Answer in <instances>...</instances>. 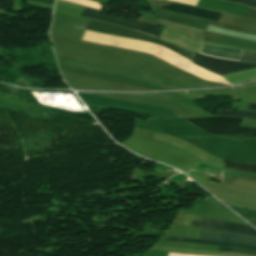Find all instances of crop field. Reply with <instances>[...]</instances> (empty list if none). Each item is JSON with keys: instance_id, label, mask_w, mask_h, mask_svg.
<instances>
[{"instance_id": "crop-field-14", "label": "crop field", "mask_w": 256, "mask_h": 256, "mask_svg": "<svg viewBox=\"0 0 256 256\" xmlns=\"http://www.w3.org/2000/svg\"><path fill=\"white\" fill-rule=\"evenodd\" d=\"M248 11H252V12H255V13H256V10H254V9L248 8ZM248 11H245V13L243 14V16H244V17H247V18H251V19L256 20V14H255V13H252V12H248Z\"/></svg>"}, {"instance_id": "crop-field-5", "label": "crop field", "mask_w": 256, "mask_h": 256, "mask_svg": "<svg viewBox=\"0 0 256 256\" xmlns=\"http://www.w3.org/2000/svg\"><path fill=\"white\" fill-rule=\"evenodd\" d=\"M189 225L212 228L222 231L256 236V230L251 226L222 222L193 216Z\"/></svg>"}, {"instance_id": "crop-field-7", "label": "crop field", "mask_w": 256, "mask_h": 256, "mask_svg": "<svg viewBox=\"0 0 256 256\" xmlns=\"http://www.w3.org/2000/svg\"><path fill=\"white\" fill-rule=\"evenodd\" d=\"M204 240H216L222 242L240 243L256 246V238L250 236H244L239 234L213 231V230H201L200 238Z\"/></svg>"}, {"instance_id": "crop-field-4", "label": "crop field", "mask_w": 256, "mask_h": 256, "mask_svg": "<svg viewBox=\"0 0 256 256\" xmlns=\"http://www.w3.org/2000/svg\"><path fill=\"white\" fill-rule=\"evenodd\" d=\"M81 16L86 17V18L95 19V20L104 21V22H109V23H113V24H117V25H121V26H125L130 29H135V30H138V31H141V32H144V33L156 36V37H159V35L162 31L156 25L136 22L137 20L136 21L119 20L117 18L105 16L99 10H95V9H91V8H87V7H85Z\"/></svg>"}, {"instance_id": "crop-field-10", "label": "crop field", "mask_w": 256, "mask_h": 256, "mask_svg": "<svg viewBox=\"0 0 256 256\" xmlns=\"http://www.w3.org/2000/svg\"><path fill=\"white\" fill-rule=\"evenodd\" d=\"M224 167L232 170H243V171L256 173V165H247V164H241V163L225 160Z\"/></svg>"}, {"instance_id": "crop-field-8", "label": "crop field", "mask_w": 256, "mask_h": 256, "mask_svg": "<svg viewBox=\"0 0 256 256\" xmlns=\"http://www.w3.org/2000/svg\"><path fill=\"white\" fill-rule=\"evenodd\" d=\"M160 8L167 9V10H173V11L185 13V14L192 15V16L207 18V19H211V20H215V21H218V19L222 15L221 13L204 10V9H199V8L183 6V5H178V4H174V3H170V4L160 7Z\"/></svg>"}, {"instance_id": "crop-field-9", "label": "crop field", "mask_w": 256, "mask_h": 256, "mask_svg": "<svg viewBox=\"0 0 256 256\" xmlns=\"http://www.w3.org/2000/svg\"><path fill=\"white\" fill-rule=\"evenodd\" d=\"M161 239H164V240H174V241H184V242H193V243H202V244L221 245V246H233V247L247 248V249L256 250V247L247 246V245H240V244H230V243L200 241V240H191V239L167 237V236H163Z\"/></svg>"}, {"instance_id": "crop-field-6", "label": "crop field", "mask_w": 256, "mask_h": 256, "mask_svg": "<svg viewBox=\"0 0 256 256\" xmlns=\"http://www.w3.org/2000/svg\"><path fill=\"white\" fill-rule=\"evenodd\" d=\"M241 51L242 50L226 48L222 46H213L203 43L200 52L218 57L239 60ZM240 61L256 63V53L243 50Z\"/></svg>"}, {"instance_id": "crop-field-2", "label": "crop field", "mask_w": 256, "mask_h": 256, "mask_svg": "<svg viewBox=\"0 0 256 256\" xmlns=\"http://www.w3.org/2000/svg\"><path fill=\"white\" fill-rule=\"evenodd\" d=\"M86 29L156 43V44H159L165 48H168V49L178 53L179 55H181L189 60H192L193 52H189V51H187L183 48H180L176 45H173L168 42H165V41H162V40H159V39L147 36V35H143V34L128 30V29H124V28H120V27H116V26H112V25H107V24H103V23H98V22H94L91 20H89Z\"/></svg>"}, {"instance_id": "crop-field-13", "label": "crop field", "mask_w": 256, "mask_h": 256, "mask_svg": "<svg viewBox=\"0 0 256 256\" xmlns=\"http://www.w3.org/2000/svg\"><path fill=\"white\" fill-rule=\"evenodd\" d=\"M228 1H234L240 4L256 7V1L255 0H228Z\"/></svg>"}, {"instance_id": "crop-field-15", "label": "crop field", "mask_w": 256, "mask_h": 256, "mask_svg": "<svg viewBox=\"0 0 256 256\" xmlns=\"http://www.w3.org/2000/svg\"><path fill=\"white\" fill-rule=\"evenodd\" d=\"M32 1L40 2V3L52 5V6L54 4V0H32Z\"/></svg>"}, {"instance_id": "crop-field-11", "label": "crop field", "mask_w": 256, "mask_h": 256, "mask_svg": "<svg viewBox=\"0 0 256 256\" xmlns=\"http://www.w3.org/2000/svg\"><path fill=\"white\" fill-rule=\"evenodd\" d=\"M218 115L248 117V118L256 119V113L255 112H247V111H231V110L218 109Z\"/></svg>"}, {"instance_id": "crop-field-3", "label": "crop field", "mask_w": 256, "mask_h": 256, "mask_svg": "<svg viewBox=\"0 0 256 256\" xmlns=\"http://www.w3.org/2000/svg\"><path fill=\"white\" fill-rule=\"evenodd\" d=\"M193 62L221 76L256 67L253 64L210 58L197 53H195Z\"/></svg>"}, {"instance_id": "crop-field-1", "label": "crop field", "mask_w": 256, "mask_h": 256, "mask_svg": "<svg viewBox=\"0 0 256 256\" xmlns=\"http://www.w3.org/2000/svg\"><path fill=\"white\" fill-rule=\"evenodd\" d=\"M210 134L248 135L256 137V129L239 126L241 118L211 117L183 119Z\"/></svg>"}, {"instance_id": "crop-field-12", "label": "crop field", "mask_w": 256, "mask_h": 256, "mask_svg": "<svg viewBox=\"0 0 256 256\" xmlns=\"http://www.w3.org/2000/svg\"><path fill=\"white\" fill-rule=\"evenodd\" d=\"M218 251H228V252H236V253H248L256 255V251H250L239 248H227V247H218Z\"/></svg>"}, {"instance_id": "crop-field-16", "label": "crop field", "mask_w": 256, "mask_h": 256, "mask_svg": "<svg viewBox=\"0 0 256 256\" xmlns=\"http://www.w3.org/2000/svg\"><path fill=\"white\" fill-rule=\"evenodd\" d=\"M249 106H250V109H254V110H256V104L249 103Z\"/></svg>"}]
</instances>
